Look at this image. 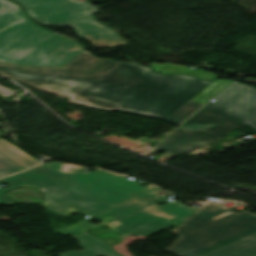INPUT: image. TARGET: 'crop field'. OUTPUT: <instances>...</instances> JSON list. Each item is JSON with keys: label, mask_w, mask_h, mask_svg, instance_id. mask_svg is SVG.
<instances>
[{"label": "crop field", "mask_w": 256, "mask_h": 256, "mask_svg": "<svg viewBox=\"0 0 256 256\" xmlns=\"http://www.w3.org/2000/svg\"><path fill=\"white\" fill-rule=\"evenodd\" d=\"M202 256H256V233Z\"/></svg>", "instance_id": "obj_10"}, {"label": "crop field", "mask_w": 256, "mask_h": 256, "mask_svg": "<svg viewBox=\"0 0 256 256\" xmlns=\"http://www.w3.org/2000/svg\"><path fill=\"white\" fill-rule=\"evenodd\" d=\"M24 170L0 153V177Z\"/></svg>", "instance_id": "obj_16"}, {"label": "crop field", "mask_w": 256, "mask_h": 256, "mask_svg": "<svg viewBox=\"0 0 256 256\" xmlns=\"http://www.w3.org/2000/svg\"><path fill=\"white\" fill-rule=\"evenodd\" d=\"M200 106H202V104L189 101L173 115H171L168 119H166V121L179 124L184 121L188 116H190Z\"/></svg>", "instance_id": "obj_14"}, {"label": "crop field", "mask_w": 256, "mask_h": 256, "mask_svg": "<svg viewBox=\"0 0 256 256\" xmlns=\"http://www.w3.org/2000/svg\"><path fill=\"white\" fill-rule=\"evenodd\" d=\"M22 12L21 9L6 0H0V23Z\"/></svg>", "instance_id": "obj_15"}, {"label": "crop field", "mask_w": 256, "mask_h": 256, "mask_svg": "<svg viewBox=\"0 0 256 256\" xmlns=\"http://www.w3.org/2000/svg\"><path fill=\"white\" fill-rule=\"evenodd\" d=\"M229 83H230L229 81L214 80L206 88L201 90L192 100L204 104L206 101H208L215 94H217L219 91H221Z\"/></svg>", "instance_id": "obj_13"}, {"label": "crop field", "mask_w": 256, "mask_h": 256, "mask_svg": "<svg viewBox=\"0 0 256 256\" xmlns=\"http://www.w3.org/2000/svg\"><path fill=\"white\" fill-rule=\"evenodd\" d=\"M0 182L9 184L6 189H0V202L5 205L15 203L6 196L7 191L28 186L37 187L42 190L45 197V209L55 215H69L74 212H79L94 217L112 207L86 194L67 178L55 182L45 176L28 170L19 175L4 178L0 180Z\"/></svg>", "instance_id": "obj_7"}, {"label": "crop field", "mask_w": 256, "mask_h": 256, "mask_svg": "<svg viewBox=\"0 0 256 256\" xmlns=\"http://www.w3.org/2000/svg\"><path fill=\"white\" fill-rule=\"evenodd\" d=\"M150 67H154V70L156 72L192 74V75H197L202 79H211L216 77V75L213 73H208L204 71H195L192 69H187L185 66H180V65H158V64L152 63Z\"/></svg>", "instance_id": "obj_12"}, {"label": "crop field", "mask_w": 256, "mask_h": 256, "mask_svg": "<svg viewBox=\"0 0 256 256\" xmlns=\"http://www.w3.org/2000/svg\"><path fill=\"white\" fill-rule=\"evenodd\" d=\"M0 152L24 169L38 163L37 161H35L34 159H32L31 157H29L28 155H26L25 153H23L22 151H20L3 139L0 140Z\"/></svg>", "instance_id": "obj_11"}, {"label": "crop field", "mask_w": 256, "mask_h": 256, "mask_svg": "<svg viewBox=\"0 0 256 256\" xmlns=\"http://www.w3.org/2000/svg\"><path fill=\"white\" fill-rule=\"evenodd\" d=\"M256 232V214L209 202L172 233L181 236L167 250L176 256H199Z\"/></svg>", "instance_id": "obj_5"}, {"label": "crop field", "mask_w": 256, "mask_h": 256, "mask_svg": "<svg viewBox=\"0 0 256 256\" xmlns=\"http://www.w3.org/2000/svg\"><path fill=\"white\" fill-rule=\"evenodd\" d=\"M156 149L182 155L247 124L256 129V91L234 82Z\"/></svg>", "instance_id": "obj_2"}, {"label": "crop field", "mask_w": 256, "mask_h": 256, "mask_svg": "<svg viewBox=\"0 0 256 256\" xmlns=\"http://www.w3.org/2000/svg\"><path fill=\"white\" fill-rule=\"evenodd\" d=\"M243 81H247V82H256V80L255 79H249V78H246L245 80H243Z\"/></svg>", "instance_id": "obj_18"}, {"label": "crop field", "mask_w": 256, "mask_h": 256, "mask_svg": "<svg viewBox=\"0 0 256 256\" xmlns=\"http://www.w3.org/2000/svg\"><path fill=\"white\" fill-rule=\"evenodd\" d=\"M80 168L82 167L51 162L31 169L56 181L67 177L86 193L112 205H116L148 187L135 183L124 175L100 169L85 173Z\"/></svg>", "instance_id": "obj_8"}, {"label": "crop field", "mask_w": 256, "mask_h": 256, "mask_svg": "<svg viewBox=\"0 0 256 256\" xmlns=\"http://www.w3.org/2000/svg\"><path fill=\"white\" fill-rule=\"evenodd\" d=\"M24 14L0 24V62L62 66L84 50L78 42L41 28Z\"/></svg>", "instance_id": "obj_4"}, {"label": "crop field", "mask_w": 256, "mask_h": 256, "mask_svg": "<svg viewBox=\"0 0 256 256\" xmlns=\"http://www.w3.org/2000/svg\"><path fill=\"white\" fill-rule=\"evenodd\" d=\"M80 242L77 244L84 250L61 253V256H122L102 240L84 232L79 235H70Z\"/></svg>", "instance_id": "obj_9"}, {"label": "crop field", "mask_w": 256, "mask_h": 256, "mask_svg": "<svg viewBox=\"0 0 256 256\" xmlns=\"http://www.w3.org/2000/svg\"><path fill=\"white\" fill-rule=\"evenodd\" d=\"M105 243H107L108 245L112 246L116 243H121L118 239L116 238H112V239H107V240H104Z\"/></svg>", "instance_id": "obj_17"}, {"label": "crop field", "mask_w": 256, "mask_h": 256, "mask_svg": "<svg viewBox=\"0 0 256 256\" xmlns=\"http://www.w3.org/2000/svg\"><path fill=\"white\" fill-rule=\"evenodd\" d=\"M20 4L35 21L74 27L76 34L97 47L123 45L125 42L109 27L91 18L95 9L88 2L76 0H12Z\"/></svg>", "instance_id": "obj_6"}, {"label": "crop field", "mask_w": 256, "mask_h": 256, "mask_svg": "<svg viewBox=\"0 0 256 256\" xmlns=\"http://www.w3.org/2000/svg\"><path fill=\"white\" fill-rule=\"evenodd\" d=\"M0 73L33 87L70 95L69 103L163 120L213 81L195 76L156 74L138 63L98 58L86 50L62 67L0 63Z\"/></svg>", "instance_id": "obj_1"}, {"label": "crop field", "mask_w": 256, "mask_h": 256, "mask_svg": "<svg viewBox=\"0 0 256 256\" xmlns=\"http://www.w3.org/2000/svg\"><path fill=\"white\" fill-rule=\"evenodd\" d=\"M158 193L164 192L151 187L134 198L96 217L103 221L100 225L95 226L89 221H79L75 225L65 226L56 231L60 235L79 234L107 224L123 237L129 234L149 236L184 221L199 209L195 206L189 208L179 202L165 203L163 200L166 197L159 198ZM157 201L165 205L159 206Z\"/></svg>", "instance_id": "obj_3"}]
</instances>
